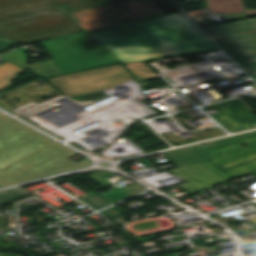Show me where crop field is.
<instances>
[{"label":"crop field","instance_id":"obj_1","mask_svg":"<svg viewBox=\"0 0 256 256\" xmlns=\"http://www.w3.org/2000/svg\"><path fill=\"white\" fill-rule=\"evenodd\" d=\"M123 64L217 49L183 14H171L94 33Z\"/></svg>","mask_w":256,"mask_h":256},{"label":"crop field","instance_id":"obj_2","mask_svg":"<svg viewBox=\"0 0 256 256\" xmlns=\"http://www.w3.org/2000/svg\"><path fill=\"white\" fill-rule=\"evenodd\" d=\"M28 127L0 114V169L16 161L44 176L90 165L88 159L78 163L77 155Z\"/></svg>","mask_w":256,"mask_h":256},{"label":"crop field","instance_id":"obj_3","mask_svg":"<svg viewBox=\"0 0 256 256\" xmlns=\"http://www.w3.org/2000/svg\"><path fill=\"white\" fill-rule=\"evenodd\" d=\"M64 0H0V35L27 44L82 29L50 3Z\"/></svg>","mask_w":256,"mask_h":256},{"label":"crop field","instance_id":"obj_4","mask_svg":"<svg viewBox=\"0 0 256 256\" xmlns=\"http://www.w3.org/2000/svg\"><path fill=\"white\" fill-rule=\"evenodd\" d=\"M250 144L244 148L243 145ZM210 152L216 157L214 163L224 169L247 162L256 158V134L245 139L226 144ZM187 184L179 185L182 189L193 194L215 186L233 178H243L256 172V160L244 165L223 170L210 161L169 171Z\"/></svg>","mask_w":256,"mask_h":256},{"label":"crop field","instance_id":"obj_5","mask_svg":"<svg viewBox=\"0 0 256 256\" xmlns=\"http://www.w3.org/2000/svg\"><path fill=\"white\" fill-rule=\"evenodd\" d=\"M161 15H165V13L46 40L42 41L41 44L64 74L95 68L120 60L89 37L87 33Z\"/></svg>","mask_w":256,"mask_h":256},{"label":"crop field","instance_id":"obj_6","mask_svg":"<svg viewBox=\"0 0 256 256\" xmlns=\"http://www.w3.org/2000/svg\"><path fill=\"white\" fill-rule=\"evenodd\" d=\"M202 30L244 70L256 67V19Z\"/></svg>","mask_w":256,"mask_h":256},{"label":"crop field","instance_id":"obj_7","mask_svg":"<svg viewBox=\"0 0 256 256\" xmlns=\"http://www.w3.org/2000/svg\"><path fill=\"white\" fill-rule=\"evenodd\" d=\"M130 79H132L130 73L119 64L47 81L66 96L72 97L104 91Z\"/></svg>","mask_w":256,"mask_h":256},{"label":"crop field","instance_id":"obj_8","mask_svg":"<svg viewBox=\"0 0 256 256\" xmlns=\"http://www.w3.org/2000/svg\"><path fill=\"white\" fill-rule=\"evenodd\" d=\"M162 12L153 0H129L69 16L87 30Z\"/></svg>","mask_w":256,"mask_h":256},{"label":"crop field","instance_id":"obj_9","mask_svg":"<svg viewBox=\"0 0 256 256\" xmlns=\"http://www.w3.org/2000/svg\"><path fill=\"white\" fill-rule=\"evenodd\" d=\"M255 133L233 137V138L216 141L208 144H203V145L186 148L178 151H173V152L165 153L164 155L173 164L175 168H178V167L213 159L214 156L208 150L229 142L242 139L244 137L250 136Z\"/></svg>","mask_w":256,"mask_h":256},{"label":"crop field","instance_id":"obj_10","mask_svg":"<svg viewBox=\"0 0 256 256\" xmlns=\"http://www.w3.org/2000/svg\"><path fill=\"white\" fill-rule=\"evenodd\" d=\"M227 113L212 116L221 125L232 132L251 127H256L255 117H243L241 111L248 108L240 99L219 103Z\"/></svg>","mask_w":256,"mask_h":256},{"label":"crop field","instance_id":"obj_11","mask_svg":"<svg viewBox=\"0 0 256 256\" xmlns=\"http://www.w3.org/2000/svg\"><path fill=\"white\" fill-rule=\"evenodd\" d=\"M38 177L42 176L15 162L0 170V186L3 187Z\"/></svg>","mask_w":256,"mask_h":256},{"label":"crop field","instance_id":"obj_12","mask_svg":"<svg viewBox=\"0 0 256 256\" xmlns=\"http://www.w3.org/2000/svg\"><path fill=\"white\" fill-rule=\"evenodd\" d=\"M125 0H68L60 3H55L59 9L67 14L83 11L91 8H96L104 5H109Z\"/></svg>","mask_w":256,"mask_h":256},{"label":"crop field","instance_id":"obj_13","mask_svg":"<svg viewBox=\"0 0 256 256\" xmlns=\"http://www.w3.org/2000/svg\"><path fill=\"white\" fill-rule=\"evenodd\" d=\"M24 70L6 62L0 67V91L5 89L12 80Z\"/></svg>","mask_w":256,"mask_h":256},{"label":"crop field","instance_id":"obj_14","mask_svg":"<svg viewBox=\"0 0 256 256\" xmlns=\"http://www.w3.org/2000/svg\"><path fill=\"white\" fill-rule=\"evenodd\" d=\"M127 66L139 82L157 77L143 62L128 64Z\"/></svg>","mask_w":256,"mask_h":256},{"label":"crop field","instance_id":"obj_15","mask_svg":"<svg viewBox=\"0 0 256 256\" xmlns=\"http://www.w3.org/2000/svg\"><path fill=\"white\" fill-rule=\"evenodd\" d=\"M84 203L89 205L91 208L98 210L102 207L112 204L107 199L103 198L99 194L95 193L91 196L81 199Z\"/></svg>","mask_w":256,"mask_h":256},{"label":"crop field","instance_id":"obj_16","mask_svg":"<svg viewBox=\"0 0 256 256\" xmlns=\"http://www.w3.org/2000/svg\"><path fill=\"white\" fill-rule=\"evenodd\" d=\"M17 197H19V196H16V195H14V194H12L8 191L2 192V193H0V204L4 203V202H7L9 200H12L14 198H17Z\"/></svg>","mask_w":256,"mask_h":256},{"label":"crop field","instance_id":"obj_17","mask_svg":"<svg viewBox=\"0 0 256 256\" xmlns=\"http://www.w3.org/2000/svg\"><path fill=\"white\" fill-rule=\"evenodd\" d=\"M16 42L8 40L6 38L0 37V52L5 50L6 48L12 46Z\"/></svg>","mask_w":256,"mask_h":256},{"label":"crop field","instance_id":"obj_18","mask_svg":"<svg viewBox=\"0 0 256 256\" xmlns=\"http://www.w3.org/2000/svg\"><path fill=\"white\" fill-rule=\"evenodd\" d=\"M104 216H106L108 219H113L115 217L118 216H122L120 213H118L117 211H115L114 209L110 208L106 211L101 212Z\"/></svg>","mask_w":256,"mask_h":256},{"label":"crop field","instance_id":"obj_19","mask_svg":"<svg viewBox=\"0 0 256 256\" xmlns=\"http://www.w3.org/2000/svg\"><path fill=\"white\" fill-rule=\"evenodd\" d=\"M246 72L256 81V68L246 70Z\"/></svg>","mask_w":256,"mask_h":256},{"label":"crop field","instance_id":"obj_20","mask_svg":"<svg viewBox=\"0 0 256 256\" xmlns=\"http://www.w3.org/2000/svg\"><path fill=\"white\" fill-rule=\"evenodd\" d=\"M11 192H13V193H15V194H17V195H19V196H22V195H24V194H27V193H25V192H23V191H21V190H19V189H14V190H10Z\"/></svg>","mask_w":256,"mask_h":256},{"label":"crop field","instance_id":"obj_21","mask_svg":"<svg viewBox=\"0 0 256 256\" xmlns=\"http://www.w3.org/2000/svg\"><path fill=\"white\" fill-rule=\"evenodd\" d=\"M249 221H251L252 223L256 224V217L248 219Z\"/></svg>","mask_w":256,"mask_h":256},{"label":"crop field","instance_id":"obj_22","mask_svg":"<svg viewBox=\"0 0 256 256\" xmlns=\"http://www.w3.org/2000/svg\"><path fill=\"white\" fill-rule=\"evenodd\" d=\"M0 256H20V255H16V254H6V255H0Z\"/></svg>","mask_w":256,"mask_h":256}]
</instances>
